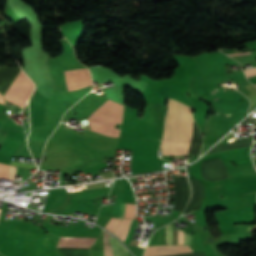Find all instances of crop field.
Returning a JSON list of instances; mask_svg holds the SVG:
<instances>
[{
	"label": "crop field",
	"mask_w": 256,
	"mask_h": 256,
	"mask_svg": "<svg viewBox=\"0 0 256 256\" xmlns=\"http://www.w3.org/2000/svg\"><path fill=\"white\" fill-rule=\"evenodd\" d=\"M256 85V84H255Z\"/></svg>",
	"instance_id": "21"
},
{
	"label": "crop field",
	"mask_w": 256,
	"mask_h": 256,
	"mask_svg": "<svg viewBox=\"0 0 256 256\" xmlns=\"http://www.w3.org/2000/svg\"><path fill=\"white\" fill-rule=\"evenodd\" d=\"M244 72H245L246 75H247V74H251V73L256 72V68H252V69L246 70V71H244ZM254 75H256V73L251 74V75H247V78L252 77V76H254Z\"/></svg>",
	"instance_id": "18"
},
{
	"label": "crop field",
	"mask_w": 256,
	"mask_h": 256,
	"mask_svg": "<svg viewBox=\"0 0 256 256\" xmlns=\"http://www.w3.org/2000/svg\"><path fill=\"white\" fill-rule=\"evenodd\" d=\"M192 184V200L188 203L185 211L183 214L193 211L200 207L203 199H204V186L203 184L197 179H189Z\"/></svg>",
	"instance_id": "8"
},
{
	"label": "crop field",
	"mask_w": 256,
	"mask_h": 256,
	"mask_svg": "<svg viewBox=\"0 0 256 256\" xmlns=\"http://www.w3.org/2000/svg\"><path fill=\"white\" fill-rule=\"evenodd\" d=\"M122 115L123 105L108 100L90 115L87 120L92 130L108 136L118 137L120 130L115 129L114 126L116 123H121Z\"/></svg>",
	"instance_id": "2"
},
{
	"label": "crop field",
	"mask_w": 256,
	"mask_h": 256,
	"mask_svg": "<svg viewBox=\"0 0 256 256\" xmlns=\"http://www.w3.org/2000/svg\"><path fill=\"white\" fill-rule=\"evenodd\" d=\"M121 221V218H111L105 228L113 233V231L118 227Z\"/></svg>",
	"instance_id": "16"
},
{
	"label": "crop field",
	"mask_w": 256,
	"mask_h": 256,
	"mask_svg": "<svg viewBox=\"0 0 256 256\" xmlns=\"http://www.w3.org/2000/svg\"><path fill=\"white\" fill-rule=\"evenodd\" d=\"M33 88V83L24 74L3 96L23 108Z\"/></svg>",
	"instance_id": "3"
},
{
	"label": "crop field",
	"mask_w": 256,
	"mask_h": 256,
	"mask_svg": "<svg viewBox=\"0 0 256 256\" xmlns=\"http://www.w3.org/2000/svg\"><path fill=\"white\" fill-rule=\"evenodd\" d=\"M0 103L5 104V103H4V100H3V98H2V96H1V95H0Z\"/></svg>",
	"instance_id": "19"
},
{
	"label": "crop field",
	"mask_w": 256,
	"mask_h": 256,
	"mask_svg": "<svg viewBox=\"0 0 256 256\" xmlns=\"http://www.w3.org/2000/svg\"><path fill=\"white\" fill-rule=\"evenodd\" d=\"M109 239L112 243L114 256H128V251L117 239L114 237H110Z\"/></svg>",
	"instance_id": "11"
},
{
	"label": "crop field",
	"mask_w": 256,
	"mask_h": 256,
	"mask_svg": "<svg viewBox=\"0 0 256 256\" xmlns=\"http://www.w3.org/2000/svg\"><path fill=\"white\" fill-rule=\"evenodd\" d=\"M250 52H247V53H239V54H232V55H240V54H248ZM232 55H228V56H232Z\"/></svg>",
	"instance_id": "20"
},
{
	"label": "crop field",
	"mask_w": 256,
	"mask_h": 256,
	"mask_svg": "<svg viewBox=\"0 0 256 256\" xmlns=\"http://www.w3.org/2000/svg\"><path fill=\"white\" fill-rule=\"evenodd\" d=\"M64 74L68 91L80 89L92 84L91 75L87 69L66 71Z\"/></svg>",
	"instance_id": "5"
},
{
	"label": "crop field",
	"mask_w": 256,
	"mask_h": 256,
	"mask_svg": "<svg viewBox=\"0 0 256 256\" xmlns=\"http://www.w3.org/2000/svg\"><path fill=\"white\" fill-rule=\"evenodd\" d=\"M168 109L164 122V133L161 140L163 155L188 154L192 138L193 109L175 100L168 99Z\"/></svg>",
	"instance_id": "1"
},
{
	"label": "crop field",
	"mask_w": 256,
	"mask_h": 256,
	"mask_svg": "<svg viewBox=\"0 0 256 256\" xmlns=\"http://www.w3.org/2000/svg\"><path fill=\"white\" fill-rule=\"evenodd\" d=\"M128 220H129V219H123V221H122V223L120 224V226H119V227L115 230V232L113 233V234H115L116 236H118L120 239L123 238V235H124V232H125V229H126ZM130 221H131V220H129V223H128V226H127V229H126V232H125L123 241L125 240V238H126V236H127V232H128V228H129V225H130Z\"/></svg>",
	"instance_id": "13"
},
{
	"label": "crop field",
	"mask_w": 256,
	"mask_h": 256,
	"mask_svg": "<svg viewBox=\"0 0 256 256\" xmlns=\"http://www.w3.org/2000/svg\"><path fill=\"white\" fill-rule=\"evenodd\" d=\"M95 238L60 237L57 247L89 248Z\"/></svg>",
	"instance_id": "9"
},
{
	"label": "crop field",
	"mask_w": 256,
	"mask_h": 256,
	"mask_svg": "<svg viewBox=\"0 0 256 256\" xmlns=\"http://www.w3.org/2000/svg\"><path fill=\"white\" fill-rule=\"evenodd\" d=\"M190 251L191 249L189 246L185 245H157L148 246L144 256H165Z\"/></svg>",
	"instance_id": "7"
},
{
	"label": "crop field",
	"mask_w": 256,
	"mask_h": 256,
	"mask_svg": "<svg viewBox=\"0 0 256 256\" xmlns=\"http://www.w3.org/2000/svg\"><path fill=\"white\" fill-rule=\"evenodd\" d=\"M9 166L0 164V178L7 179Z\"/></svg>",
	"instance_id": "17"
},
{
	"label": "crop field",
	"mask_w": 256,
	"mask_h": 256,
	"mask_svg": "<svg viewBox=\"0 0 256 256\" xmlns=\"http://www.w3.org/2000/svg\"><path fill=\"white\" fill-rule=\"evenodd\" d=\"M167 244H173L171 225L166 227ZM177 244H181V230L177 231ZM182 244H192V236L182 232Z\"/></svg>",
	"instance_id": "10"
},
{
	"label": "crop field",
	"mask_w": 256,
	"mask_h": 256,
	"mask_svg": "<svg viewBox=\"0 0 256 256\" xmlns=\"http://www.w3.org/2000/svg\"><path fill=\"white\" fill-rule=\"evenodd\" d=\"M135 205L122 204L120 217L134 218Z\"/></svg>",
	"instance_id": "12"
},
{
	"label": "crop field",
	"mask_w": 256,
	"mask_h": 256,
	"mask_svg": "<svg viewBox=\"0 0 256 256\" xmlns=\"http://www.w3.org/2000/svg\"><path fill=\"white\" fill-rule=\"evenodd\" d=\"M109 236H111V235H109L107 232L103 231L102 237H103L105 256H113L111 244L108 240Z\"/></svg>",
	"instance_id": "15"
},
{
	"label": "crop field",
	"mask_w": 256,
	"mask_h": 256,
	"mask_svg": "<svg viewBox=\"0 0 256 256\" xmlns=\"http://www.w3.org/2000/svg\"><path fill=\"white\" fill-rule=\"evenodd\" d=\"M188 180V179H187ZM189 184V181H188ZM175 185V207L173 210L183 211L188 203V185L186 179H174ZM191 197V190L189 184V199Z\"/></svg>",
	"instance_id": "6"
},
{
	"label": "crop field",
	"mask_w": 256,
	"mask_h": 256,
	"mask_svg": "<svg viewBox=\"0 0 256 256\" xmlns=\"http://www.w3.org/2000/svg\"><path fill=\"white\" fill-rule=\"evenodd\" d=\"M201 175L203 179L209 181L227 179L230 177L220 158L202 161Z\"/></svg>",
	"instance_id": "4"
},
{
	"label": "crop field",
	"mask_w": 256,
	"mask_h": 256,
	"mask_svg": "<svg viewBox=\"0 0 256 256\" xmlns=\"http://www.w3.org/2000/svg\"><path fill=\"white\" fill-rule=\"evenodd\" d=\"M10 165L19 166V167H27V168H35L36 169L35 165L28 164V163H18V162L11 161ZM13 166H10L8 179L14 181V178H15V167H13Z\"/></svg>",
	"instance_id": "14"
}]
</instances>
